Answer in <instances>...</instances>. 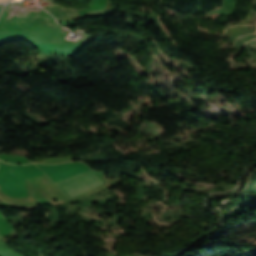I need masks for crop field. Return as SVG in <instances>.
Returning <instances> with one entry per match:
<instances>
[{"instance_id": "8a807250", "label": "crop field", "mask_w": 256, "mask_h": 256, "mask_svg": "<svg viewBox=\"0 0 256 256\" xmlns=\"http://www.w3.org/2000/svg\"><path fill=\"white\" fill-rule=\"evenodd\" d=\"M102 184L104 182L101 177L90 170L56 182V185L69 200Z\"/></svg>"}, {"instance_id": "ac0d7876", "label": "crop field", "mask_w": 256, "mask_h": 256, "mask_svg": "<svg viewBox=\"0 0 256 256\" xmlns=\"http://www.w3.org/2000/svg\"><path fill=\"white\" fill-rule=\"evenodd\" d=\"M7 1H9V0H0V3H5Z\"/></svg>"}]
</instances>
